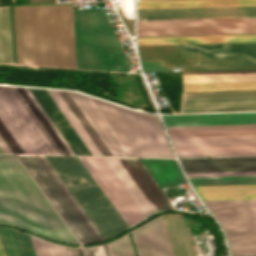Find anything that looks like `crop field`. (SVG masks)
Wrapping results in <instances>:
<instances>
[{
  "label": "crop field",
  "instance_id": "730fd06b",
  "mask_svg": "<svg viewBox=\"0 0 256 256\" xmlns=\"http://www.w3.org/2000/svg\"><path fill=\"white\" fill-rule=\"evenodd\" d=\"M0 63L13 64L9 7H0Z\"/></svg>",
  "mask_w": 256,
  "mask_h": 256
},
{
  "label": "crop field",
  "instance_id": "34b2d1b8",
  "mask_svg": "<svg viewBox=\"0 0 256 256\" xmlns=\"http://www.w3.org/2000/svg\"><path fill=\"white\" fill-rule=\"evenodd\" d=\"M76 68L129 72L102 9L73 10Z\"/></svg>",
  "mask_w": 256,
  "mask_h": 256
},
{
  "label": "crop field",
  "instance_id": "ac0d7876",
  "mask_svg": "<svg viewBox=\"0 0 256 256\" xmlns=\"http://www.w3.org/2000/svg\"><path fill=\"white\" fill-rule=\"evenodd\" d=\"M0 204L15 225L58 241L77 243L14 155H0ZM0 205V222L14 225Z\"/></svg>",
  "mask_w": 256,
  "mask_h": 256
},
{
  "label": "crop field",
  "instance_id": "4a817a6b",
  "mask_svg": "<svg viewBox=\"0 0 256 256\" xmlns=\"http://www.w3.org/2000/svg\"><path fill=\"white\" fill-rule=\"evenodd\" d=\"M76 155H91L45 90L29 88Z\"/></svg>",
  "mask_w": 256,
  "mask_h": 256
},
{
  "label": "crop field",
  "instance_id": "3316defc",
  "mask_svg": "<svg viewBox=\"0 0 256 256\" xmlns=\"http://www.w3.org/2000/svg\"><path fill=\"white\" fill-rule=\"evenodd\" d=\"M0 134L14 153L54 154L6 87H0Z\"/></svg>",
  "mask_w": 256,
  "mask_h": 256
},
{
  "label": "crop field",
  "instance_id": "d3111659",
  "mask_svg": "<svg viewBox=\"0 0 256 256\" xmlns=\"http://www.w3.org/2000/svg\"><path fill=\"white\" fill-rule=\"evenodd\" d=\"M132 245L128 234L107 244L111 256H135Z\"/></svg>",
  "mask_w": 256,
  "mask_h": 256
},
{
  "label": "crop field",
  "instance_id": "e1f06a70",
  "mask_svg": "<svg viewBox=\"0 0 256 256\" xmlns=\"http://www.w3.org/2000/svg\"><path fill=\"white\" fill-rule=\"evenodd\" d=\"M67 248H68L70 256H83L81 249H74V248H69V247H67Z\"/></svg>",
  "mask_w": 256,
  "mask_h": 256
},
{
  "label": "crop field",
  "instance_id": "d32e631a",
  "mask_svg": "<svg viewBox=\"0 0 256 256\" xmlns=\"http://www.w3.org/2000/svg\"><path fill=\"white\" fill-rule=\"evenodd\" d=\"M188 177H208V176H248L256 175V171L246 172H206V173H187Z\"/></svg>",
  "mask_w": 256,
  "mask_h": 256
},
{
  "label": "crop field",
  "instance_id": "92a150f3",
  "mask_svg": "<svg viewBox=\"0 0 256 256\" xmlns=\"http://www.w3.org/2000/svg\"><path fill=\"white\" fill-rule=\"evenodd\" d=\"M256 6V0H155L137 1V9Z\"/></svg>",
  "mask_w": 256,
  "mask_h": 256
},
{
  "label": "crop field",
  "instance_id": "dd49c442",
  "mask_svg": "<svg viewBox=\"0 0 256 256\" xmlns=\"http://www.w3.org/2000/svg\"><path fill=\"white\" fill-rule=\"evenodd\" d=\"M46 158L105 239L127 229L76 157Z\"/></svg>",
  "mask_w": 256,
  "mask_h": 256
},
{
  "label": "crop field",
  "instance_id": "214f88e0",
  "mask_svg": "<svg viewBox=\"0 0 256 256\" xmlns=\"http://www.w3.org/2000/svg\"><path fill=\"white\" fill-rule=\"evenodd\" d=\"M256 82V70L183 72V84Z\"/></svg>",
  "mask_w": 256,
  "mask_h": 256
},
{
  "label": "crop field",
  "instance_id": "bd1437ed",
  "mask_svg": "<svg viewBox=\"0 0 256 256\" xmlns=\"http://www.w3.org/2000/svg\"><path fill=\"white\" fill-rule=\"evenodd\" d=\"M32 240H33V244H34L37 256H44L40 241L34 237H32ZM42 244H43L46 256H59L57 247L55 245L49 244L44 241H42ZM58 247H59L61 256H69L66 248L60 247V246Z\"/></svg>",
  "mask_w": 256,
  "mask_h": 256
},
{
  "label": "crop field",
  "instance_id": "d9b57169",
  "mask_svg": "<svg viewBox=\"0 0 256 256\" xmlns=\"http://www.w3.org/2000/svg\"><path fill=\"white\" fill-rule=\"evenodd\" d=\"M138 256H174L162 217L131 232Z\"/></svg>",
  "mask_w": 256,
  "mask_h": 256
},
{
  "label": "crop field",
  "instance_id": "5866460e",
  "mask_svg": "<svg viewBox=\"0 0 256 256\" xmlns=\"http://www.w3.org/2000/svg\"><path fill=\"white\" fill-rule=\"evenodd\" d=\"M96 248L99 256H110L106 245L98 246Z\"/></svg>",
  "mask_w": 256,
  "mask_h": 256
},
{
  "label": "crop field",
  "instance_id": "ae1a2a85",
  "mask_svg": "<svg viewBox=\"0 0 256 256\" xmlns=\"http://www.w3.org/2000/svg\"><path fill=\"white\" fill-rule=\"evenodd\" d=\"M256 89V83L183 85V91Z\"/></svg>",
  "mask_w": 256,
  "mask_h": 256
},
{
  "label": "crop field",
  "instance_id": "a9b5d70f",
  "mask_svg": "<svg viewBox=\"0 0 256 256\" xmlns=\"http://www.w3.org/2000/svg\"><path fill=\"white\" fill-rule=\"evenodd\" d=\"M138 45L256 42V36L137 39Z\"/></svg>",
  "mask_w": 256,
  "mask_h": 256
},
{
  "label": "crop field",
  "instance_id": "c21b1889",
  "mask_svg": "<svg viewBox=\"0 0 256 256\" xmlns=\"http://www.w3.org/2000/svg\"><path fill=\"white\" fill-rule=\"evenodd\" d=\"M0 153H5V151L2 149L1 146H0Z\"/></svg>",
  "mask_w": 256,
  "mask_h": 256
},
{
  "label": "crop field",
  "instance_id": "d1516ede",
  "mask_svg": "<svg viewBox=\"0 0 256 256\" xmlns=\"http://www.w3.org/2000/svg\"><path fill=\"white\" fill-rule=\"evenodd\" d=\"M103 156L130 157L90 97L58 91Z\"/></svg>",
  "mask_w": 256,
  "mask_h": 256
},
{
  "label": "crop field",
  "instance_id": "dafd665d",
  "mask_svg": "<svg viewBox=\"0 0 256 256\" xmlns=\"http://www.w3.org/2000/svg\"><path fill=\"white\" fill-rule=\"evenodd\" d=\"M202 200L256 199V184L194 186Z\"/></svg>",
  "mask_w": 256,
  "mask_h": 256
},
{
  "label": "crop field",
  "instance_id": "d8731c3e",
  "mask_svg": "<svg viewBox=\"0 0 256 256\" xmlns=\"http://www.w3.org/2000/svg\"><path fill=\"white\" fill-rule=\"evenodd\" d=\"M228 18H256V17H228ZM228 18L137 20V38H155V37H139V21L228 19ZM228 33H256V19L140 22V36L228 34ZM228 35H256V34H228ZM193 36H227V35H193ZM157 37H191V36H157Z\"/></svg>",
  "mask_w": 256,
  "mask_h": 256
},
{
  "label": "crop field",
  "instance_id": "f4fd0767",
  "mask_svg": "<svg viewBox=\"0 0 256 256\" xmlns=\"http://www.w3.org/2000/svg\"><path fill=\"white\" fill-rule=\"evenodd\" d=\"M17 156L80 243L104 240L45 156Z\"/></svg>",
  "mask_w": 256,
  "mask_h": 256
},
{
  "label": "crop field",
  "instance_id": "00972430",
  "mask_svg": "<svg viewBox=\"0 0 256 256\" xmlns=\"http://www.w3.org/2000/svg\"><path fill=\"white\" fill-rule=\"evenodd\" d=\"M161 188L185 182L176 160L141 159Z\"/></svg>",
  "mask_w": 256,
  "mask_h": 256
},
{
  "label": "crop field",
  "instance_id": "cbeb9de0",
  "mask_svg": "<svg viewBox=\"0 0 256 256\" xmlns=\"http://www.w3.org/2000/svg\"><path fill=\"white\" fill-rule=\"evenodd\" d=\"M256 94V90L183 92V96ZM256 111V95L183 97L181 113Z\"/></svg>",
  "mask_w": 256,
  "mask_h": 256
},
{
  "label": "crop field",
  "instance_id": "1d83c4d3",
  "mask_svg": "<svg viewBox=\"0 0 256 256\" xmlns=\"http://www.w3.org/2000/svg\"><path fill=\"white\" fill-rule=\"evenodd\" d=\"M14 234L21 256H35L30 237L17 231Z\"/></svg>",
  "mask_w": 256,
  "mask_h": 256
},
{
  "label": "crop field",
  "instance_id": "8a807250",
  "mask_svg": "<svg viewBox=\"0 0 256 256\" xmlns=\"http://www.w3.org/2000/svg\"><path fill=\"white\" fill-rule=\"evenodd\" d=\"M17 64L75 68L72 6L12 7Z\"/></svg>",
  "mask_w": 256,
  "mask_h": 256
},
{
  "label": "crop field",
  "instance_id": "28ad6ade",
  "mask_svg": "<svg viewBox=\"0 0 256 256\" xmlns=\"http://www.w3.org/2000/svg\"><path fill=\"white\" fill-rule=\"evenodd\" d=\"M176 46L197 70L256 68V43Z\"/></svg>",
  "mask_w": 256,
  "mask_h": 256
},
{
  "label": "crop field",
  "instance_id": "c035e120",
  "mask_svg": "<svg viewBox=\"0 0 256 256\" xmlns=\"http://www.w3.org/2000/svg\"><path fill=\"white\" fill-rule=\"evenodd\" d=\"M0 256H5L1 241H0Z\"/></svg>",
  "mask_w": 256,
  "mask_h": 256
},
{
  "label": "crop field",
  "instance_id": "5142ce71",
  "mask_svg": "<svg viewBox=\"0 0 256 256\" xmlns=\"http://www.w3.org/2000/svg\"><path fill=\"white\" fill-rule=\"evenodd\" d=\"M55 154L75 155L28 88L7 87Z\"/></svg>",
  "mask_w": 256,
  "mask_h": 256
},
{
  "label": "crop field",
  "instance_id": "028f5c9d",
  "mask_svg": "<svg viewBox=\"0 0 256 256\" xmlns=\"http://www.w3.org/2000/svg\"><path fill=\"white\" fill-rule=\"evenodd\" d=\"M85 256H98L95 247L83 248Z\"/></svg>",
  "mask_w": 256,
  "mask_h": 256
},
{
  "label": "crop field",
  "instance_id": "412701ff",
  "mask_svg": "<svg viewBox=\"0 0 256 256\" xmlns=\"http://www.w3.org/2000/svg\"><path fill=\"white\" fill-rule=\"evenodd\" d=\"M91 99L132 157L174 158L157 117Z\"/></svg>",
  "mask_w": 256,
  "mask_h": 256
},
{
  "label": "crop field",
  "instance_id": "733c2abd",
  "mask_svg": "<svg viewBox=\"0 0 256 256\" xmlns=\"http://www.w3.org/2000/svg\"><path fill=\"white\" fill-rule=\"evenodd\" d=\"M256 16V7L137 10V19Z\"/></svg>",
  "mask_w": 256,
  "mask_h": 256
},
{
  "label": "crop field",
  "instance_id": "4177f3b9",
  "mask_svg": "<svg viewBox=\"0 0 256 256\" xmlns=\"http://www.w3.org/2000/svg\"><path fill=\"white\" fill-rule=\"evenodd\" d=\"M46 92L49 94V96L52 98L54 103L57 105V107L60 109L62 114L65 116V118L68 120L70 125L73 127V129L76 131L78 136L81 138V140L84 142L86 147L89 149V151L92 153V155H98L102 156V154L99 152L97 147L94 145L92 140L89 138L87 133L84 131L82 126L79 124L75 116L72 114L70 109L67 107L65 102L62 100L60 95L57 93V91H50L46 90Z\"/></svg>",
  "mask_w": 256,
  "mask_h": 256
},
{
  "label": "crop field",
  "instance_id": "0bd39190",
  "mask_svg": "<svg viewBox=\"0 0 256 256\" xmlns=\"http://www.w3.org/2000/svg\"><path fill=\"white\" fill-rule=\"evenodd\" d=\"M0 144L3 147V149L6 151V153H13L1 136H0Z\"/></svg>",
  "mask_w": 256,
  "mask_h": 256
},
{
  "label": "crop field",
  "instance_id": "eef30255",
  "mask_svg": "<svg viewBox=\"0 0 256 256\" xmlns=\"http://www.w3.org/2000/svg\"><path fill=\"white\" fill-rule=\"evenodd\" d=\"M189 179H190L192 185L256 183V176H248V177H208V178H189Z\"/></svg>",
  "mask_w": 256,
  "mask_h": 256
},
{
  "label": "crop field",
  "instance_id": "b80d0937",
  "mask_svg": "<svg viewBox=\"0 0 256 256\" xmlns=\"http://www.w3.org/2000/svg\"><path fill=\"white\" fill-rule=\"evenodd\" d=\"M49 1H55V0H30V3H36V2H49Z\"/></svg>",
  "mask_w": 256,
  "mask_h": 256
},
{
  "label": "crop field",
  "instance_id": "e52e79f7",
  "mask_svg": "<svg viewBox=\"0 0 256 256\" xmlns=\"http://www.w3.org/2000/svg\"><path fill=\"white\" fill-rule=\"evenodd\" d=\"M204 203L224 229L232 256L256 255V200Z\"/></svg>",
  "mask_w": 256,
  "mask_h": 256
},
{
  "label": "crop field",
  "instance_id": "5a996713",
  "mask_svg": "<svg viewBox=\"0 0 256 256\" xmlns=\"http://www.w3.org/2000/svg\"><path fill=\"white\" fill-rule=\"evenodd\" d=\"M143 213L172 209L168 198L140 159L105 158Z\"/></svg>",
  "mask_w": 256,
  "mask_h": 256
},
{
  "label": "crop field",
  "instance_id": "750c4746",
  "mask_svg": "<svg viewBox=\"0 0 256 256\" xmlns=\"http://www.w3.org/2000/svg\"><path fill=\"white\" fill-rule=\"evenodd\" d=\"M0 237L6 256H20L14 234L11 229L0 227Z\"/></svg>",
  "mask_w": 256,
  "mask_h": 256
},
{
  "label": "crop field",
  "instance_id": "120bbe31",
  "mask_svg": "<svg viewBox=\"0 0 256 256\" xmlns=\"http://www.w3.org/2000/svg\"><path fill=\"white\" fill-rule=\"evenodd\" d=\"M144 72L181 71V66L163 67L161 61L141 62Z\"/></svg>",
  "mask_w": 256,
  "mask_h": 256
},
{
  "label": "crop field",
  "instance_id": "bc2a9ffb",
  "mask_svg": "<svg viewBox=\"0 0 256 256\" xmlns=\"http://www.w3.org/2000/svg\"><path fill=\"white\" fill-rule=\"evenodd\" d=\"M166 126L256 124L255 114L162 116Z\"/></svg>",
  "mask_w": 256,
  "mask_h": 256
},
{
  "label": "crop field",
  "instance_id": "22f410ed",
  "mask_svg": "<svg viewBox=\"0 0 256 256\" xmlns=\"http://www.w3.org/2000/svg\"><path fill=\"white\" fill-rule=\"evenodd\" d=\"M78 159L128 227L146 218L104 158L78 157Z\"/></svg>",
  "mask_w": 256,
  "mask_h": 256
}]
</instances>
